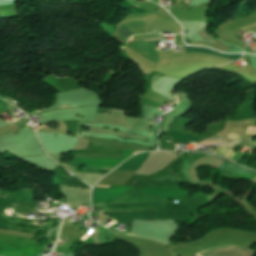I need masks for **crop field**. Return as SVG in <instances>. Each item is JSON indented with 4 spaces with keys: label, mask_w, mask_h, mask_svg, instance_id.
Segmentation results:
<instances>
[{
    "label": "crop field",
    "mask_w": 256,
    "mask_h": 256,
    "mask_svg": "<svg viewBox=\"0 0 256 256\" xmlns=\"http://www.w3.org/2000/svg\"><path fill=\"white\" fill-rule=\"evenodd\" d=\"M118 30H119V32H120L122 35H130V34L127 33L123 28H121L119 25H118Z\"/></svg>",
    "instance_id": "22f410ed"
},
{
    "label": "crop field",
    "mask_w": 256,
    "mask_h": 256,
    "mask_svg": "<svg viewBox=\"0 0 256 256\" xmlns=\"http://www.w3.org/2000/svg\"><path fill=\"white\" fill-rule=\"evenodd\" d=\"M11 112V111H10Z\"/></svg>",
    "instance_id": "92a150f3"
},
{
    "label": "crop field",
    "mask_w": 256,
    "mask_h": 256,
    "mask_svg": "<svg viewBox=\"0 0 256 256\" xmlns=\"http://www.w3.org/2000/svg\"><path fill=\"white\" fill-rule=\"evenodd\" d=\"M150 134H151V133H150ZM150 134H149V135H150ZM149 135H148V136H149Z\"/></svg>",
    "instance_id": "4a817a6b"
},
{
    "label": "crop field",
    "mask_w": 256,
    "mask_h": 256,
    "mask_svg": "<svg viewBox=\"0 0 256 256\" xmlns=\"http://www.w3.org/2000/svg\"><path fill=\"white\" fill-rule=\"evenodd\" d=\"M16 0H0V5L12 4Z\"/></svg>",
    "instance_id": "d1516ede"
},
{
    "label": "crop field",
    "mask_w": 256,
    "mask_h": 256,
    "mask_svg": "<svg viewBox=\"0 0 256 256\" xmlns=\"http://www.w3.org/2000/svg\"><path fill=\"white\" fill-rule=\"evenodd\" d=\"M178 158L176 159V161ZM176 162H172L166 168L154 173L148 177L137 179L136 182H153V181H165L180 178L178 174L175 173V170L171 171V168Z\"/></svg>",
    "instance_id": "dd49c442"
},
{
    "label": "crop field",
    "mask_w": 256,
    "mask_h": 256,
    "mask_svg": "<svg viewBox=\"0 0 256 256\" xmlns=\"http://www.w3.org/2000/svg\"><path fill=\"white\" fill-rule=\"evenodd\" d=\"M136 151L132 150H123L122 152V159H86L76 157L74 161H78L83 164H87L88 167H107V168H114L130 156H132Z\"/></svg>",
    "instance_id": "34b2d1b8"
},
{
    "label": "crop field",
    "mask_w": 256,
    "mask_h": 256,
    "mask_svg": "<svg viewBox=\"0 0 256 256\" xmlns=\"http://www.w3.org/2000/svg\"><path fill=\"white\" fill-rule=\"evenodd\" d=\"M0 256H37L45 248L27 238L0 235Z\"/></svg>",
    "instance_id": "8a807250"
},
{
    "label": "crop field",
    "mask_w": 256,
    "mask_h": 256,
    "mask_svg": "<svg viewBox=\"0 0 256 256\" xmlns=\"http://www.w3.org/2000/svg\"><path fill=\"white\" fill-rule=\"evenodd\" d=\"M220 140V139H219ZM206 141H208V140H206Z\"/></svg>",
    "instance_id": "bc2a9ffb"
},
{
    "label": "crop field",
    "mask_w": 256,
    "mask_h": 256,
    "mask_svg": "<svg viewBox=\"0 0 256 256\" xmlns=\"http://www.w3.org/2000/svg\"><path fill=\"white\" fill-rule=\"evenodd\" d=\"M63 256H74L72 253H69V254H66V255H63Z\"/></svg>",
    "instance_id": "cbeb9de0"
},
{
    "label": "crop field",
    "mask_w": 256,
    "mask_h": 256,
    "mask_svg": "<svg viewBox=\"0 0 256 256\" xmlns=\"http://www.w3.org/2000/svg\"><path fill=\"white\" fill-rule=\"evenodd\" d=\"M36 112H38V111H36Z\"/></svg>",
    "instance_id": "214f88e0"
},
{
    "label": "crop field",
    "mask_w": 256,
    "mask_h": 256,
    "mask_svg": "<svg viewBox=\"0 0 256 256\" xmlns=\"http://www.w3.org/2000/svg\"><path fill=\"white\" fill-rule=\"evenodd\" d=\"M240 145L244 147H252V142H249V138L240 140Z\"/></svg>",
    "instance_id": "3316defc"
},
{
    "label": "crop field",
    "mask_w": 256,
    "mask_h": 256,
    "mask_svg": "<svg viewBox=\"0 0 256 256\" xmlns=\"http://www.w3.org/2000/svg\"><path fill=\"white\" fill-rule=\"evenodd\" d=\"M170 15V14H169ZM171 16V15H170ZM172 17V16H171Z\"/></svg>",
    "instance_id": "733c2abd"
},
{
    "label": "crop field",
    "mask_w": 256,
    "mask_h": 256,
    "mask_svg": "<svg viewBox=\"0 0 256 256\" xmlns=\"http://www.w3.org/2000/svg\"><path fill=\"white\" fill-rule=\"evenodd\" d=\"M234 153L235 152L233 151L232 147H227L226 150L223 152L222 156L230 159Z\"/></svg>",
    "instance_id": "5a996713"
},
{
    "label": "crop field",
    "mask_w": 256,
    "mask_h": 256,
    "mask_svg": "<svg viewBox=\"0 0 256 256\" xmlns=\"http://www.w3.org/2000/svg\"><path fill=\"white\" fill-rule=\"evenodd\" d=\"M215 143H219V142H215ZM198 144H205V143H198Z\"/></svg>",
    "instance_id": "5142ce71"
},
{
    "label": "crop field",
    "mask_w": 256,
    "mask_h": 256,
    "mask_svg": "<svg viewBox=\"0 0 256 256\" xmlns=\"http://www.w3.org/2000/svg\"><path fill=\"white\" fill-rule=\"evenodd\" d=\"M150 152L138 154L121 164L117 169L138 170L147 159Z\"/></svg>",
    "instance_id": "e52e79f7"
},
{
    "label": "crop field",
    "mask_w": 256,
    "mask_h": 256,
    "mask_svg": "<svg viewBox=\"0 0 256 256\" xmlns=\"http://www.w3.org/2000/svg\"><path fill=\"white\" fill-rule=\"evenodd\" d=\"M217 169L226 176L245 178L247 180H251L256 176L255 173L226 161H224Z\"/></svg>",
    "instance_id": "f4fd0767"
},
{
    "label": "crop field",
    "mask_w": 256,
    "mask_h": 256,
    "mask_svg": "<svg viewBox=\"0 0 256 256\" xmlns=\"http://www.w3.org/2000/svg\"><path fill=\"white\" fill-rule=\"evenodd\" d=\"M190 52L207 53V54H212V55H216V56H220V57H224L232 60H237L241 57L240 54H237V55L224 54L213 49H209L205 47H197V46H189L188 48H186L185 53H190Z\"/></svg>",
    "instance_id": "d8731c3e"
},
{
    "label": "crop field",
    "mask_w": 256,
    "mask_h": 256,
    "mask_svg": "<svg viewBox=\"0 0 256 256\" xmlns=\"http://www.w3.org/2000/svg\"><path fill=\"white\" fill-rule=\"evenodd\" d=\"M240 136V133L231 131L228 135H226V138H229L231 140L236 139Z\"/></svg>",
    "instance_id": "28ad6ade"
},
{
    "label": "crop field",
    "mask_w": 256,
    "mask_h": 256,
    "mask_svg": "<svg viewBox=\"0 0 256 256\" xmlns=\"http://www.w3.org/2000/svg\"><path fill=\"white\" fill-rule=\"evenodd\" d=\"M243 69V68H242Z\"/></svg>",
    "instance_id": "dafd665d"
},
{
    "label": "crop field",
    "mask_w": 256,
    "mask_h": 256,
    "mask_svg": "<svg viewBox=\"0 0 256 256\" xmlns=\"http://www.w3.org/2000/svg\"><path fill=\"white\" fill-rule=\"evenodd\" d=\"M64 107H68V106H64Z\"/></svg>",
    "instance_id": "d9b57169"
},
{
    "label": "crop field",
    "mask_w": 256,
    "mask_h": 256,
    "mask_svg": "<svg viewBox=\"0 0 256 256\" xmlns=\"http://www.w3.org/2000/svg\"><path fill=\"white\" fill-rule=\"evenodd\" d=\"M204 256H254L255 252L240 247H219L201 252Z\"/></svg>",
    "instance_id": "412701ff"
},
{
    "label": "crop field",
    "mask_w": 256,
    "mask_h": 256,
    "mask_svg": "<svg viewBox=\"0 0 256 256\" xmlns=\"http://www.w3.org/2000/svg\"><path fill=\"white\" fill-rule=\"evenodd\" d=\"M101 186V185H96ZM109 187V186H103ZM131 187L110 186V188L94 187L92 194V203H107L109 200L116 198Z\"/></svg>",
    "instance_id": "ac0d7876"
}]
</instances>
